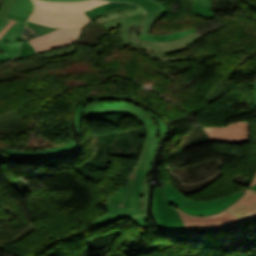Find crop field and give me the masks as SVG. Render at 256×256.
I'll use <instances>...</instances> for the list:
<instances>
[{"label":"crop field","mask_w":256,"mask_h":256,"mask_svg":"<svg viewBox=\"0 0 256 256\" xmlns=\"http://www.w3.org/2000/svg\"><path fill=\"white\" fill-rule=\"evenodd\" d=\"M36 9L29 21L36 23L72 28L81 27L91 21L83 11L94 6L106 4L102 0H84L76 2H51L44 0H33Z\"/></svg>","instance_id":"crop-field-1"},{"label":"crop field","mask_w":256,"mask_h":256,"mask_svg":"<svg viewBox=\"0 0 256 256\" xmlns=\"http://www.w3.org/2000/svg\"><path fill=\"white\" fill-rule=\"evenodd\" d=\"M113 109L130 111L142 120L147 134L139 159L152 161L159 140L166 131L164 122L139 105L119 100L91 101L84 105L83 111L87 114Z\"/></svg>","instance_id":"crop-field-2"},{"label":"crop field","mask_w":256,"mask_h":256,"mask_svg":"<svg viewBox=\"0 0 256 256\" xmlns=\"http://www.w3.org/2000/svg\"><path fill=\"white\" fill-rule=\"evenodd\" d=\"M152 162L139 160L135 167H139L132 197L128 209L105 203L108 213L93 221L97 228L112 223L120 218L127 217L132 222L147 215V197L149 185V170ZM131 222V223H132Z\"/></svg>","instance_id":"crop-field-3"},{"label":"crop field","mask_w":256,"mask_h":256,"mask_svg":"<svg viewBox=\"0 0 256 256\" xmlns=\"http://www.w3.org/2000/svg\"><path fill=\"white\" fill-rule=\"evenodd\" d=\"M244 192L235 193L231 196L223 197L210 202H198L190 200L180 192H177L166 198L170 204L182 209L183 211L195 216H206L216 214L229 205L236 202Z\"/></svg>","instance_id":"crop-field-4"},{"label":"crop field","mask_w":256,"mask_h":256,"mask_svg":"<svg viewBox=\"0 0 256 256\" xmlns=\"http://www.w3.org/2000/svg\"><path fill=\"white\" fill-rule=\"evenodd\" d=\"M203 36L199 32H194L186 37L180 38L175 41L165 42V43H149L138 40V46L144 51L148 56L160 60L162 62H174L180 61L187 58L179 57H165L166 54L186 50L190 48L191 44L202 39Z\"/></svg>","instance_id":"crop-field-5"},{"label":"crop field","mask_w":256,"mask_h":256,"mask_svg":"<svg viewBox=\"0 0 256 256\" xmlns=\"http://www.w3.org/2000/svg\"><path fill=\"white\" fill-rule=\"evenodd\" d=\"M34 5L31 0H15L8 16L0 24V31L11 20H17L15 24L0 39V47L4 42L18 41L21 38L23 26L31 14Z\"/></svg>","instance_id":"crop-field-6"},{"label":"crop field","mask_w":256,"mask_h":256,"mask_svg":"<svg viewBox=\"0 0 256 256\" xmlns=\"http://www.w3.org/2000/svg\"><path fill=\"white\" fill-rule=\"evenodd\" d=\"M153 212L162 228L179 232L186 231L176 208L164 198L162 188L155 187Z\"/></svg>","instance_id":"crop-field-7"},{"label":"crop field","mask_w":256,"mask_h":256,"mask_svg":"<svg viewBox=\"0 0 256 256\" xmlns=\"http://www.w3.org/2000/svg\"><path fill=\"white\" fill-rule=\"evenodd\" d=\"M80 35V28H58L42 36L28 40L37 53L74 43Z\"/></svg>","instance_id":"crop-field-8"},{"label":"crop field","mask_w":256,"mask_h":256,"mask_svg":"<svg viewBox=\"0 0 256 256\" xmlns=\"http://www.w3.org/2000/svg\"><path fill=\"white\" fill-rule=\"evenodd\" d=\"M212 141L223 143H245L249 141L248 122H237L222 127L207 128Z\"/></svg>","instance_id":"crop-field-9"},{"label":"crop field","mask_w":256,"mask_h":256,"mask_svg":"<svg viewBox=\"0 0 256 256\" xmlns=\"http://www.w3.org/2000/svg\"><path fill=\"white\" fill-rule=\"evenodd\" d=\"M178 210V209H177ZM180 216L186 226L187 229L190 228H199V227H208L214 225H222V224H230L241 221L242 219L238 218L235 215H232L226 211L208 217H193L187 215L178 210Z\"/></svg>","instance_id":"crop-field-10"},{"label":"crop field","mask_w":256,"mask_h":256,"mask_svg":"<svg viewBox=\"0 0 256 256\" xmlns=\"http://www.w3.org/2000/svg\"><path fill=\"white\" fill-rule=\"evenodd\" d=\"M227 210L245 220L256 217V191L249 189L239 202Z\"/></svg>","instance_id":"crop-field-11"},{"label":"crop field","mask_w":256,"mask_h":256,"mask_svg":"<svg viewBox=\"0 0 256 256\" xmlns=\"http://www.w3.org/2000/svg\"><path fill=\"white\" fill-rule=\"evenodd\" d=\"M76 149V144L74 140L72 142L66 143L57 148H50L41 151H20V150H11V149H3L4 152L12 155V156H20V157H48V156H57L62 155L68 152H71Z\"/></svg>","instance_id":"crop-field-12"},{"label":"crop field","mask_w":256,"mask_h":256,"mask_svg":"<svg viewBox=\"0 0 256 256\" xmlns=\"http://www.w3.org/2000/svg\"><path fill=\"white\" fill-rule=\"evenodd\" d=\"M144 15H145V13L139 14V15L130 16V17H125V18H122V19L112 20V21L104 23L103 26L111 29V28L121 24L122 27L120 29V39H121L123 45H125V46H129V45L136 46V44L132 43L129 40V38L127 36V31H128L130 26L142 22V19H143Z\"/></svg>","instance_id":"crop-field-13"},{"label":"crop field","mask_w":256,"mask_h":256,"mask_svg":"<svg viewBox=\"0 0 256 256\" xmlns=\"http://www.w3.org/2000/svg\"><path fill=\"white\" fill-rule=\"evenodd\" d=\"M138 168H133L132 174L126 184L125 187H119L116 192L113 195H110L109 198L110 200H106V202L113 203L119 206L123 207H128L130 196H131V191L132 187L134 184V180L136 177Z\"/></svg>","instance_id":"crop-field-14"},{"label":"crop field","mask_w":256,"mask_h":256,"mask_svg":"<svg viewBox=\"0 0 256 256\" xmlns=\"http://www.w3.org/2000/svg\"><path fill=\"white\" fill-rule=\"evenodd\" d=\"M160 244L161 243L151 245L138 234L126 244L124 248V252L129 256H135L139 253H144V252L150 253L156 250Z\"/></svg>","instance_id":"crop-field-15"},{"label":"crop field","mask_w":256,"mask_h":256,"mask_svg":"<svg viewBox=\"0 0 256 256\" xmlns=\"http://www.w3.org/2000/svg\"><path fill=\"white\" fill-rule=\"evenodd\" d=\"M194 31L196 30L192 28L183 32H176L168 35H148V34L140 33L138 39L149 41V42H165V41L178 39Z\"/></svg>","instance_id":"crop-field-16"},{"label":"crop field","mask_w":256,"mask_h":256,"mask_svg":"<svg viewBox=\"0 0 256 256\" xmlns=\"http://www.w3.org/2000/svg\"><path fill=\"white\" fill-rule=\"evenodd\" d=\"M54 29H56V28L48 27V26H44V25H40V24H36V23L27 21L25 30H24V34H28L33 37H36V36L42 35L46 32L52 31Z\"/></svg>","instance_id":"crop-field-17"},{"label":"crop field","mask_w":256,"mask_h":256,"mask_svg":"<svg viewBox=\"0 0 256 256\" xmlns=\"http://www.w3.org/2000/svg\"><path fill=\"white\" fill-rule=\"evenodd\" d=\"M19 46H20V41L4 43V45L1 47V49L4 50L6 53L0 54V62H4V61L10 60V59H13L15 56H17Z\"/></svg>","instance_id":"crop-field-18"},{"label":"crop field","mask_w":256,"mask_h":256,"mask_svg":"<svg viewBox=\"0 0 256 256\" xmlns=\"http://www.w3.org/2000/svg\"><path fill=\"white\" fill-rule=\"evenodd\" d=\"M159 14H160V10L147 13L141 31L149 34L153 25L156 23V21L159 17Z\"/></svg>","instance_id":"crop-field-19"},{"label":"crop field","mask_w":256,"mask_h":256,"mask_svg":"<svg viewBox=\"0 0 256 256\" xmlns=\"http://www.w3.org/2000/svg\"><path fill=\"white\" fill-rule=\"evenodd\" d=\"M126 5H130V4L111 2V3H108L106 5L98 6V7H95L93 9H91V10L85 11V13L88 17L91 18V17L95 16L97 13H99L101 11H105V10H109V9H113V8H117V7H121V6H126Z\"/></svg>","instance_id":"crop-field-20"},{"label":"crop field","mask_w":256,"mask_h":256,"mask_svg":"<svg viewBox=\"0 0 256 256\" xmlns=\"http://www.w3.org/2000/svg\"><path fill=\"white\" fill-rule=\"evenodd\" d=\"M192 8H193V12L198 16H202L207 19L215 18L212 8H209L197 3H193V2H192Z\"/></svg>","instance_id":"crop-field-21"},{"label":"crop field","mask_w":256,"mask_h":256,"mask_svg":"<svg viewBox=\"0 0 256 256\" xmlns=\"http://www.w3.org/2000/svg\"><path fill=\"white\" fill-rule=\"evenodd\" d=\"M91 100H102V99H92V98H89L87 100H84L82 103H80L76 109H75V122H76V127H77V133L78 135H80V121L83 117V112H82V107L83 105L88 102V101H91Z\"/></svg>","instance_id":"crop-field-22"},{"label":"crop field","mask_w":256,"mask_h":256,"mask_svg":"<svg viewBox=\"0 0 256 256\" xmlns=\"http://www.w3.org/2000/svg\"><path fill=\"white\" fill-rule=\"evenodd\" d=\"M113 1H128L142 6L144 9L149 11L158 10L159 8L149 0H113Z\"/></svg>","instance_id":"crop-field-23"},{"label":"crop field","mask_w":256,"mask_h":256,"mask_svg":"<svg viewBox=\"0 0 256 256\" xmlns=\"http://www.w3.org/2000/svg\"><path fill=\"white\" fill-rule=\"evenodd\" d=\"M36 54L34 49L30 46V44L27 41H22V47L20 50V53L17 58L20 59L22 57L30 56Z\"/></svg>","instance_id":"crop-field-24"},{"label":"crop field","mask_w":256,"mask_h":256,"mask_svg":"<svg viewBox=\"0 0 256 256\" xmlns=\"http://www.w3.org/2000/svg\"><path fill=\"white\" fill-rule=\"evenodd\" d=\"M75 49H76V47L73 46L70 48L63 49V50L45 53L44 56L46 59H48V58H52V57H56V56L68 55V54H72L73 52H75Z\"/></svg>","instance_id":"crop-field-25"},{"label":"crop field","mask_w":256,"mask_h":256,"mask_svg":"<svg viewBox=\"0 0 256 256\" xmlns=\"http://www.w3.org/2000/svg\"><path fill=\"white\" fill-rule=\"evenodd\" d=\"M14 0H3L0 8V23L5 19Z\"/></svg>","instance_id":"crop-field-26"},{"label":"crop field","mask_w":256,"mask_h":256,"mask_svg":"<svg viewBox=\"0 0 256 256\" xmlns=\"http://www.w3.org/2000/svg\"><path fill=\"white\" fill-rule=\"evenodd\" d=\"M133 8H138V6H136V5H130V6H126V7H121V8L109 10V11H106V12L99 13L98 15H96L95 17H93V18H91V19H92V20H95L97 17H99V16H101V15H103V14L113 13V12H119V11H122V10H128V9H133Z\"/></svg>","instance_id":"crop-field-27"},{"label":"crop field","mask_w":256,"mask_h":256,"mask_svg":"<svg viewBox=\"0 0 256 256\" xmlns=\"http://www.w3.org/2000/svg\"><path fill=\"white\" fill-rule=\"evenodd\" d=\"M179 191L176 187H174L169 181L166 186L163 187V193L165 198L175 192Z\"/></svg>","instance_id":"crop-field-28"},{"label":"crop field","mask_w":256,"mask_h":256,"mask_svg":"<svg viewBox=\"0 0 256 256\" xmlns=\"http://www.w3.org/2000/svg\"><path fill=\"white\" fill-rule=\"evenodd\" d=\"M242 224H246V222L244 220H242L241 222L236 223V224L215 226V227H209V228H200V229H190L188 231H202V230H205V229H216V228L232 227V226H238V225H242Z\"/></svg>","instance_id":"crop-field-29"},{"label":"crop field","mask_w":256,"mask_h":256,"mask_svg":"<svg viewBox=\"0 0 256 256\" xmlns=\"http://www.w3.org/2000/svg\"><path fill=\"white\" fill-rule=\"evenodd\" d=\"M153 3H155L160 9H161V14H160V17L164 14H166V8L157 0H151ZM160 19V18H159ZM158 19V20H159Z\"/></svg>","instance_id":"crop-field-30"},{"label":"crop field","mask_w":256,"mask_h":256,"mask_svg":"<svg viewBox=\"0 0 256 256\" xmlns=\"http://www.w3.org/2000/svg\"><path fill=\"white\" fill-rule=\"evenodd\" d=\"M14 20H11L6 26L5 28L1 31L0 33V38L5 34V32L14 24Z\"/></svg>","instance_id":"crop-field-31"},{"label":"crop field","mask_w":256,"mask_h":256,"mask_svg":"<svg viewBox=\"0 0 256 256\" xmlns=\"http://www.w3.org/2000/svg\"><path fill=\"white\" fill-rule=\"evenodd\" d=\"M194 2H198L200 4H204V5H207L209 7H211V1L210 0H192Z\"/></svg>","instance_id":"crop-field-32"},{"label":"crop field","mask_w":256,"mask_h":256,"mask_svg":"<svg viewBox=\"0 0 256 256\" xmlns=\"http://www.w3.org/2000/svg\"><path fill=\"white\" fill-rule=\"evenodd\" d=\"M254 184H256V175H255V177H254V179H253V181H252L250 187L253 186Z\"/></svg>","instance_id":"crop-field-33"},{"label":"crop field","mask_w":256,"mask_h":256,"mask_svg":"<svg viewBox=\"0 0 256 256\" xmlns=\"http://www.w3.org/2000/svg\"><path fill=\"white\" fill-rule=\"evenodd\" d=\"M52 1H75V0H52Z\"/></svg>","instance_id":"crop-field-34"},{"label":"crop field","mask_w":256,"mask_h":256,"mask_svg":"<svg viewBox=\"0 0 256 256\" xmlns=\"http://www.w3.org/2000/svg\"><path fill=\"white\" fill-rule=\"evenodd\" d=\"M254 220H256V218L251 219V220H247V222L249 223V222L254 221Z\"/></svg>","instance_id":"crop-field-35"},{"label":"crop field","mask_w":256,"mask_h":256,"mask_svg":"<svg viewBox=\"0 0 256 256\" xmlns=\"http://www.w3.org/2000/svg\"><path fill=\"white\" fill-rule=\"evenodd\" d=\"M252 189L256 190V185H254L253 187H251Z\"/></svg>","instance_id":"crop-field-36"}]
</instances>
